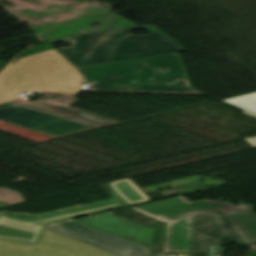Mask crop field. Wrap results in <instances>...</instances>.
Segmentation results:
<instances>
[{"label": "crop field", "instance_id": "crop-field-1", "mask_svg": "<svg viewBox=\"0 0 256 256\" xmlns=\"http://www.w3.org/2000/svg\"><path fill=\"white\" fill-rule=\"evenodd\" d=\"M109 213L155 229L149 256H221V238L244 245L256 242V215L249 205L191 203L180 196Z\"/></svg>", "mask_w": 256, "mask_h": 256}, {"label": "crop field", "instance_id": "crop-field-2", "mask_svg": "<svg viewBox=\"0 0 256 256\" xmlns=\"http://www.w3.org/2000/svg\"><path fill=\"white\" fill-rule=\"evenodd\" d=\"M86 91L205 95L190 88L178 53L78 69Z\"/></svg>", "mask_w": 256, "mask_h": 256}, {"label": "crop field", "instance_id": "crop-field-3", "mask_svg": "<svg viewBox=\"0 0 256 256\" xmlns=\"http://www.w3.org/2000/svg\"><path fill=\"white\" fill-rule=\"evenodd\" d=\"M143 28L152 34L135 36L129 32ZM60 40L72 41L69 49L58 51L76 68L184 50L153 25L57 38Z\"/></svg>", "mask_w": 256, "mask_h": 256}, {"label": "crop field", "instance_id": "crop-field-4", "mask_svg": "<svg viewBox=\"0 0 256 256\" xmlns=\"http://www.w3.org/2000/svg\"><path fill=\"white\" fill-rule=\"evenodd\" d=\"M79 71L56 49L18 60L0 75V102L35 90L77 93L82 89Z\"/></svg>", "mask_w": 256, "mask_h": 256}, {"label": "crop field", "instance_id": "crop-field-5", "mask_svg": "<svg viewBox=\"0 0 256 256\" xmlns=\"http://www.w3.org/2000/svg\"><path fill=\"white\" fill-rule=\"evenodd\" d=\"M101 186L113 198L30 219L0 214V239L39 243L46 224L151 200L130 178Z\"/></svg>", "mask_w": 256, "mask_h": 256}, {"label": "crop field", "instance_id": "crop-field-6", "mask_svg": "<svg viewBox=\"0 0 256 256\" xmlns=\"http://www.w3.org/2000/svg\"><path fill=\"white\" fill-rule=\"evenodd\" d=\"M38 248L39 251L34 249ZM0 256H118L60 234L44 231L39 244L0 240Z\"/></svg>", "mask_w": 256, "mask_h": 256}, {"label": "crop field", "instance_id": "crop-field-7", "mask_svg": "<svg viewBox=\"0 0 256 256\" xmlns=\"http://www.w3.org/2000/svg\"><path fill=\"white\" fill-rule=\"evenodd\" d=\"M0 120L34 130L53 138L93 129L18 107L13 101L0 105Z\"/></svg>", "mask_w": 256, "mask_h": 256}, {"label": "crop field", "instance_id": "crop-field-8", "mask_svg": "<svg viewBox=\"0 0 256 256\" xmlns=\"http://www.w3.org/2000/svg\"><path fill=\"white\" fill-rule=\"evenodd\" d=\"M46 229L121 256H128L131 253L136 256H148L149 253L146 248L86 228L72 221L53 226L47 225Z\"/></svg>", "mask_w": 256, "mask_h": 256}, {"label": "crop field", "instance_id": "crop-field-9", "mask_svg": "<svg viewBox=\"0 0 256 256\" xmlns=\"http://www.w3.org/2000/svg\"><path fill=\"white\" fill-rule=\"evenodd\" d=\"M14 101L18 106H22L28 109H32L38 112H42L48 115H52L58 118H62L65 120H69L75 123H79V124L94 127V128L119 123L113 120H109V119L88 114L85 112L77 111L74 109L49 103L46 101H38V102H28V101L23 102L21 100H14Z\"/></svg>", "mask_w": 256, "mask_h": 256}, {"label": "crop field", "instance_id": "crop-field-10", "mask_svg": "<svg viewBox=\"0 0 256 256\" xmlns=\"http://www.w3.org/2000/svg\"><path fill=\"white\" fill-rule=\"evenodd\" d=\"M0 130L20 136V137H24L36 142H40V141H44V140H48V139H52L50 137H47L45 135L33 132L31 130L22 128V127H18L9 123H5L0 121Z\"/></svg>", "mask_w": 256, "mask_h": 256}, {"label": "crop field", "instance_id": "crop-field-11", "mask_svg": "<svg viewBox=\"0 0 256 256\" xmlns=\"http://www.w3.org/2000/svg\"><path fill=\"white\" fill-rule=\"evenodd\" d=\"M224 102L256 113V93L224 100Z\"/></svg>", "mask_w": 256, "mask_h": 256}, {"label": "crop field", "instance_id": "crop-field-12", "mask_svg": "<svg viewBox=\"0 0 256 256\" xmlns=\"http://www.w3.org/2000/svg\"><path fill=\"white\" fill-rule=\"evenodd\" d=\"M244 114H248V115H251L253 117H256L255 114H252V113H249L247 111L243 112ZM247 141L254 147L256 148V137L255 138H251V139H247Z\"/></svg>", "mask_w": 256, "mask_h": 256}, {"label": "crop field", "instance_id": "crop-field-13", "mask_svg": "<svg viewBox=\"0 0 256 256\" xmlns=\"http://www.w3.org/2000/svg\"><path fill=\"white\" fill-rule=\"evenodd\" d=\"M248 247L256 248V243H255V244L248 245Z\"/></svg>", "mask_w": 256, "mask_h": 256}]
</instances>
